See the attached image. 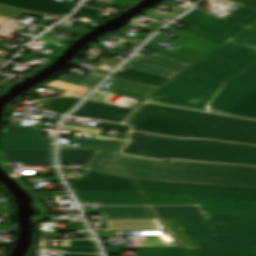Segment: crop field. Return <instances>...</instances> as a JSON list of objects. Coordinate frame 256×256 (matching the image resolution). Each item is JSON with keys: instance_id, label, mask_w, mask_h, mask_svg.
<instances>
[{"instance_id": "8a807250", "label": "crop field", "mask_w": 256, "mask_h": 256, "mask_svg": "<svg viewBox=\"0 0 256 256\" xmlns=\"http://www.w3.org/2000/svg\"><path fill=\"white\" fill-rule=\"evenodd\" d=\"M255 62V49L228 40L145 101L205 111L226 81ZM208 111L256 119V65L228 82Z\"/></svg>"}, {"instance_id": "ac0d7876", "label": "crop field", "mask_w": 256, "mask_h": 256, "mask_svg": "<svg viewBox=\"0 0 256 256\" xmlns=\"http://www.w3.org/2000/svg\"><path fill=\"white\" fill-rule=\"evenodd\" d=\"M72 143L78 148L60 146V150H97L86 171L152 181L256 188V168L117 154L127 142L73 139Z\"/></svg>"}, {"instance_id": "34b2d1b8", "label": "crop field", "mask_w": 256, "mask_h": 256, "mask_svg": "<svg viewBox=\"0 0 256 256\" xmlns=\"http://www.w3.org/2000/svg\"><path fill=\"white\" fill-rule=\"evenodd\" d=\"M134 130L182 138L183 135L256 145V122L200 112L143 105L128 120Z\"/></svg>"}, {"instance_id": "412701ff", "label": "crop field", "mask_w": 256, "mask_h": 256, "mask_svg": "<svg viewBox=\"0 0 256 256\" xmlns=\"http://www.w3.org/2000/svg\"><path fill=\"white\" fill-rule=\"evenodd\" d=\"M143 156L256 166V146L209 140H183L160 135H157Z\"/></svg>"}, {"instance_id": "f4fd0767", "label": "crop field", "mask_w": 256, "mask_h": 256, "mask_svg": "<svg viewBox=\"0 0 256 256\" xmlns=\"http://www.w3.org/2000/svg\"><path fill=\"white\" fill-rule=\"evenodd\" d=\"M142 192L191 194L203 212L256 215V190L136 181Z\"/></svg>"}, {"instance_id": "dd49c442", "label": "crop field", "mask_w": 256, "mask_h": 256, "mask_svg": "<svg viewBox=\"0 0 256 256\" xmlns=\"http://www.w3.org/2000/svg\"><path fill=\"white\" fill-rule=\"evenodd\" d=\"M159 218H177L200 248L256 251V238L213 236L197 207H153Z\"/></svg>"}, {"instance_id": "e52e79f7", "label": "crop field", "mask_w": 256, "mask_h": 256, "mask_svg": "<svg viewBox=\"0 0 256 256\" xmlns=\"http://www.w3.org/2000/svg\"><path fill=\"white\" fill-rule=\"evenodd\" d=\"M178 22L191 25L184 32L221 45L245 27L221 20L199 11H192Z\"/></svg>"}, {"instance_id": "d8731c3e", "label": "crop field", "mask_w": 256, "mask_h": 256, "mask_svg": "<svg viewBox=\"0 0 256 256\" xmlns=\"http://www.w3.org/2000/svg\"><path fill=\"white\" fill-rule=\"evenodd\" d=\"M190 65L154 52L150 55L140 53L123 67L171 79Z\"/></svg>"}, {"instance_id": "5a996713", "label": "crop field", "mask_w": 256, "mask_h": 256, "mask_svg": "<svg viewBox=\"0 0 256 256\" xmlns=\"http://www.w3.org/2000/svg\"><path fill=\"white\" fill-rule=\"evenodd\" d=\"M213 235L256 237V217L202 214Z\"/></svg>"}, {"instance_id": "3316defc", "label": "crop field", "mask_w": 256, "mask_h": 256, "mask_svg": "<svg viewBox=\"0 0 256 256\" xmlns=\"http://www.w3.org/2000/svg\"><path fill=\"white\" fill-rule=\"evenodd\" d=\"M44 122L36 129L6 126L1 149H51L53 138H40Z\"/></svg>"}, {"instance_id": "28ad6ade", "label": "crop field", "mask_w": 256, "mask_h": 256, "mask_svg": "<svg viewBox=\"0 0 256 256\" xmlns=\"http://www.w3.org/2000/svg\"><path fill=\"white\" fill-rule=\"evenodd\" d=\"M85 179L69 182L73 192L137 190L132 180L89 173Z\"/></svg>"}, {"instance_id": "d1516ede", "label": "crop field", "mask_w": 256, "mask_h": 256, "mask_svg": "<svg viewBox=\"0 0 256 256\" xmlns=\"http://www.w3.org/2000/svg\"><path fill=\"white\" fill-rule=\"evenodd\" d=\"M75 194L80 203L101 202L103 205H146L139 191L90 192Z\"/></svg>"}, {"instance_id": "22f410ed", "label": "crop field", "mask_w": 256, "mask_h": 256, "mask_svg": "<svg viewBox=\"0 0 256 256\" xmlns=\"http://www.w3.org/2000/svg\"><path fill=\"white\" fill-rule=\"evenodd\" d=\"M133 111L134 110L94 102H86V104L77 112L73 113L72 116L94 118L112 122H121Z\"/></svg>"}, {"instance_id": "cbeb9de0", "label": "crop field", "mask_w": 256, "mask_h": 256, "mask_svg": "<svg viewBox=\"0 0 256 256\" xmlns=\"http://www.w3.org/2000/svg\"><path fill=\"white\" fill-rule=\"evenodd\" d=\"M0 3L60 17L66 15L75 6L74 4L54 0H0Z\"/></svg>"}, {"instance_id": "5142ce71", "label": "crop field", "mask_w": 256, "mask_h": 256, "mask_svg": "<svg viewBox=\"0 0 256 256\" xmlns=\"http://www.w3.org/2000/svg\"><path fill=\"white\" fill-rule=\"evenodd\" d=\"M4 162H22V166L52 165L51 150H1Z\"/></svg>"}, {"instance_id": "d9b57169", "label": "crop field", "mask_w": 256, "mask_h": 256, "mask_svg": "<svg viewBox=\"0 0 256 256\" xmlns=\"http://www.w3.org/2000/svg\"><path fill=\"white\" fill-rule=\"evenodd\" d=\"M110 81L114 82L108 89L101 88L100 91L125 95L133 98H138L145 100L150 95H152L159 88L145 85L141 83H136L128 80H123L119 78L112 77Z\"/></svg>"}, {"instance_id": "733c2abd", "label": "crop field", "mask_w": 256, "mask_h": 256, "mask_svg": "<svg viewBox=\"0 0 256 256\" xmlns=\"http://www.w3.org/2000/svg\"><path fill=\"white\" fill-rule=\"evenodd\" d=\"M165 31L174 33L176 35L182 36L187 38L185 41L181 42L178 40H174L168 37H165L163 35L158 34L155 39H159L165 42H169L175 45H179L185 48H189L198 52H202V53H209L210 51H212L214 48H216L218 45L210 43L208 41L202 40L200 38L194 37L192 35L186 34L184 32H181L171 26H169L167 29H165Z\"/></svg>"}, {"instance_id": "4a817a6b", "label": "crop field", "mask_w": 256, "mask_h": 256, "mask_svg": "<svg viewBox=\"0 0 256 256\" xmlns=\"http://www.w3.org/2000/svg\"><path fill=\"white\" fill-rule=\"evenodd\" d=\"M86 214H133L135 218H154L148 207H83Z\"/></svg>"}, {"instance_id": "bc2a9ffb", "label": "crop field", "mask_w": 256, "mask_h": 256, "mask_svg": "<svg viewBox=\"0 0 256 256\" xmlns=\"http://www.w3.org/2000/svg\"><path fill=\"white\" fill-rule=\"evenodd\" d=\"M149 205H195L191 195L143 193Z\"/></svg>"}, {"instance_id": "214f88e0", "label": "crop field", "mask_w": 256, "mask_h": 256, "mask_svg": "<svg viewBox=\"0 0 256 256\" xmlns=\"http://www.w3.org/2000/svg\"><path fill=\"white\" fill-rule=\"evenodd\" d=\"M219 1L227 2L232 5L236 4L238 5V7H240L239 9L235 10L234 12L230 13L229 15L221 19H224L245 27H247L248 25H250L252 22L256 20V9L248 6H244L238 3H234L228 0H219Z\"/></svg>"}, {"instance_id": "92a150f3", "label": "crop field", "mask_w": 256, "mask_h": 256, "mask_svg": "<svg viewBox=\"0 0 256 256\" xmlns=\"http://www.w3.org/2000/svg\"><path fill=\"white\" fill-rule=\"evenodd\" d=\"M130 137L131 142L127 145L123 152L142 156L156 135L141 132H131Z\"/></svg>"}, {"instance_id": "dafd665d", "label": "crop field", "mask_w": 256, "mask_h": 256, "mask_svg": "<svg viewBox=\"0 0 256 256\" xmlns=\"http://www.w3.org/2000/svg\"><path fill=\"white\" fill-rule=\"evenodd\" d=\"M144 48L174 57L176 59L194 64L195 62H197L199 59H201L203 56H205V54L202 53H198L189 49H185L180 47L179 49H177L175 52L171 53L169 51L163 50L161 48L158 47V45L156 43L153 42H149L147 45L144 46Z\"/></svg>"}, {"instance_id": "00972430", "label": "crop field", "mask_w": 256, "mask_h": 256, "mask_svg": "<svg viewBox=\"0 0 256 256\" xmlns=\"http://www.w3.org/2000/svg\"><path fill=\"white\" fill-rule=\"evenodd\" d=\"M113 76L132 80V81H137L145 84H150L158 87H161L167 81H169L168 79L135 72L128 69L125 72L117 71Z\"/></svg>"}, {"instance_id": "a9b5d70f", "label": "crop field", "mask_w": 256, "mask_h": 256, "mask_svg": "<svg viewBox=\"0 0 256 256\" xmlns=\"http://www.w3.org/2000/svg\"><path fill=\"white\" fill-rule=\"evenodd\" d=\"M165 228L168 232H172L173 236L176 237L180 242L186 245L189 248H198L196 243L191 239V237L187 234L181 224L177 219H161Z\"/></svg>"}, {"instance_id": "4177f3b9", "label": "crop field", "mask_w": 256, "mask_h": 256, "mask_svg": "<svg viewBox=\"0 0 256 256\" xmlns=\"http://www.w3.org/2000/svg\"><path fill=\"white\" fill-rule=\"evenodd\" d=\"M124 250H138V256H186L183 247L174 248H124Z\"/></svg>"}, {"instance_id": "730fd06b", "label": "crop field", "mask_w": 256, "mask_h": 256, "mask_svg": "<svg viewBox=\"0 0 256 256\" xmlns=\"http://www.w3.org/2000/svg\"><path fill=\"white\" fill-rule=\"evenodd\" d=\"M96 151H60V163L63 166L65 162L88 164Z\"/></svg>"}, {"instance_id": "eef30255", "label": "crop field", "mask_w": 256, "mask_h": 256, "mask_svg": "<svg viewBox=\"0 0 256 256\" xmlns=\"http://www.w3.org/2000/svg\"><path fill=\"white\" fill-rule=\"evenodd\" d=\"M190 256H256V252L210 250V249H189Z\"/></svg>"}, {"instance_id": "ae1a2a85", "label": "crop field", "mask_w": 256, "mask_h": 256, "mask_svg": "<svg viewBox=\"0 0 256 256\" xmlns=\"http://www.w3.org/2000/svg\"><path fill=\"white\" fill-rule=\"evenodd\" d=\"M103 76L89 73L84 77L81 76H74V75H67L63 74L60 76L57 81L77 84L85 87L91 88L94 84H96Z\"/></svg>"}, {"instance_id": "d3111659", "label": "crop field", "mask_w": 256, "mask_h": 256, "mask_svg": "<svg viewBox=\"0 0 256 256\" xmlns=\"http://www.w3.org/2000/svg\"><path fill=\"white\" fill-rule=\"evenodd\" d=\"M78 98H56L44 101L42 107L48 108L57 113L63 114L78 102Z\"/></svg>"}, {"instance_id": "750c4746", "label": "crop field", "mask_w": 256, "mask_h": 256, "mask_svg": "<svg viewBox=\"0 0 256 256\" xmlns=\"http://www.w3.org/2000/svg\"><path fill=\"white\" fill-rule=\"evenodd\" d=\"M23 13L41 17V18L48 16V17L60 19V17L51 16V15H47V14H42V13H38V12H33V11H29V10L19 9V8L10 7V6L0 4V15H2V16L17 19Z\"/></svg>"}, {"instance_id": "bd1437ed", "label": "crop field", "mask_w": 256, "mask_h": 256, "mask_svg": "<svg viewBox=\"0 0 256 256\" xmlns=\"http://www.w3.org/2000/svg\"><path fill=\"white\" fill-rule=\"evenodd\" d=\"M230 40L236 41L238 43H241L256 49V30L247 27L246 30L242 31L241 33L234 36Z\"/></svg>"}, {"instance_id": "1d83c4d3", "label": "crop field", "mask_w": 256, "mask_h": 256, "mask_svg": "<svg viewBox=\"0 0 256 256\" xmlns=\"http://www.w3.org/2000/svg\"><path fill=\"white\" fill-rule=\"evenodd\" d=\"M49 86L67 90L65 95L77 96V97H82L89 90L88 88L67 84V83H62V82H57V81L50 83Z\"/></svg>"}, {"instance_id": "120bbe31", "label": "crop field", "mask_w": 256, "mask_h": 256, "mask_svg": "<svg viewBox=\"0 0 256 256\" xmlns=\"http://www.w3.org/2000/svg\"><path fill=\"white\" fill-rule=\"evenodd\" d=\"M101 12L100 10L91 9L87 7L81 6L79 10L76 12V16H83V17H91L96 18L97 14Z\"/></svg>"}, {"instance_id": "d32e631a", "label": "crop field", "mask_w": 256, "mask_h": 256, "mask_svg": "<svg viewBox=\"0 0 256 256\" xmlns=\"http://www.w3.org/2000/svg\"><path fill=\"white\" fill-rule=\"evenodd\" d=\"M71 124H74V123H71ZM77 125H80V124H77ZM83 126H86V125H83ZM90 127L113 129V130H122V131H128L131 128V127H126V126H121V125H116V124L103 123V122L96 123L95 126H90Z\"/></svg>"}, {"instance_id": "5866460e", "label": "crop field", "mask_w": 256, "mask_h": 256, "mask_svg": "<svg viewBox=\"0 0 256 256\" xmlns=\"http://www.w3.org/2000/svg\"><path fill=\"white\" fill-rule=\"evenodd\" d=\"M57 249L66 252H83V253H97L96 248H48Z\"/></svg>"}, {"instance_id": "028f5c9d", "label": "crop field", "mask_w": 256, "mask_h": 256, "mask_svg": "<svg viewBox=\"0 0 256 256\" xmlns=\"http://www.w3.org/2000/svg\"><path fill=\"white\" fill-rule=\"evenodd\" d=\"M57 29L65 31V32L70 33V34H74V35H77V34L83 32V31H85V30H82V29L74 27V26H72L70 28L61 26V27H59Z\"/></svg>"}, {"instance_id": "e1f06a70", "label": "crop field", "mask_w": 256, "mask_h": 256, "mask_svg": "<svg viewBox=\"0 0 256 256\" xmlns=\"http://www.w3.org/2000/svg\"><path fill=\"white\" fill-rule=\"evenodd\" d=\"M73 247H94L91 241H72Z\"/></svg>"}, {"instance_id": "0bd39190", "label": "crop field", "mask_w": 256, "mask_h": 256, "mask_svg": "<svg viewBox=\"0 0 256 256\" xmlns=\"http://www.w3.org/2000/svg\"><path fill=\"white\" fill-rule=\"evenodd\" d=\"M106 254H118L122 255L123 253V248H116V247H108L105 248Z\"/></svg>"}, {"instance_id": "b80d0937", "label": "crop field", "mask_w": 256, "mask_h": 256, "mask_svg": "<svg viewBox=\"0 0 256 256\" xmlns=\"http://www.w3.org/2000/svg\"><path fill=\"white\" fill-rule=\"evenodd\" d=\"M39 196L67 195L66 192H37Z\"/></svg>"}, {"instance_id": "c035e120", "label": "crop field", "mask_w": 256, "mask_h": 256, "mask_svg": "<svg viewBox=\"0 0 256 256\" xmlns=\"http://www.w3.org/2000/svg\"><path fill=\"white\" fill-rule=\"evenodd\" d=\"M231 1H235V2L242 3V4L256 8V0H231Z\"/></svg>"}, {"instance_id": "c21b1889", "label": "crop field", "mask_w": 256, "mask_h": 256, "mask_svg": "<svg viewBox=\"0 0 256 256\" xmlns=\"http://www.w3.org/2000/svg\"><path fill=\"white\" fill-rule=\"evenodd\" d=\"M106 219L133 218L132 215H104Z\"/></svg>"}, {"instance_id": "03da06ac", "label": "crop field", "mask_w": 256, "mask_h": 256, "mask_svg": "<svg viewBox=\"0 0 256 256\" xmlns=\"http://www.w3.org/2000/svg\"><path fill=\"white\" fill-rule=\"evenodd\" d=\"M84 5H88V6H92V7H96V8H100V9L105 8V6H103V5H100V4H97V3H93V2H89V1L84 3Z\"/></svg>"}, {"instance_id": "b54c1fbb", "label": "crop field", "mask_w": 256, "mask_h": 256, "mask_svg": "<svg viewBox=\"0 0 256 256\" xmlns=\"http://www.w3.org/2000/svg\"><path fill=\"white\" fill-rule=\"evenodd\" d=\"M66 256H97V255L67 254Z\"/></svg>"}, {"instance_id": "5d738f31", "label": "crop field", "mask_w": 256, "mask_h": 256, "mask_svg": "<svg viewBox=\"0 0 256 256\" xmlns=\"http://www.w3.org/2000/svg\"><path fill=\"white\" fill-rule=\"evenodd\" d=\"M0 208H11L10 204H0Z\"/></svg>"}, {"instance_id": "d23c7cc5", "label": "crop field", "mask_w": 256, "mask_h": 256, "mask_svg": "<svg viewBox=\"0 0 256 256\" xmlns=\"http://www.w3.org/2000/svg\"><path fill=\"white\" fill-rule=\"evenodd\" d=\"M8 19L0 18V26L5 23Z\"/></svg>"}, {"instance_id": "425ffa30", "label": "crop field", "mask_w": 256, "mask_h": 256, "mask_svg": "<svg viewBox=\"0 0 256 256\" xmlns=\"http://www.w3.org/2000/svg\"><path fill=\"white\" fill-rule=\"evenodd\" d=\"M249 27L255 28L256 29V21L252 23Z\"/></svg>"}, {"instance_id": "25e5ab78", "label": "crop field", "mask_w": 256, "mask_h": 256, "mask_svg": "<svg viewBox=\"0 0 256 256\" xmlns=\"http://www.w3.org/2000/svg\"><path fill=\"white\" fill-rule=\"evenodd\" d=\"M7 60L1 59L0 58V65H2L3 63H5Z\"/></svg>"}, {"instance_id": "73cf0c24", "label": "crop field", "mask_w": 256, "mask_h": 256, "mask_svg": "<svg viewBox=\"0 0 256 256\" xmlns=\"http://www.w3.org/2000/svg\"><path fill=\"white\" fill-rule=\"evenodd\" d=\"M135 241H136L137 247H141V246H139V244H140L139 240H135Z\"/></svg>"}, {"instance_id": "89e229c0", "label": "crop field", "mask_w": 256, "mask_h": 256, "mask_svg": "<svg viewBox=\"0 0 256 256\" xmlns=\"http://www.w3.org/2000/svg\"><path fill=\"white\" fill-rule=\"evenodd\" d=\"M2 39H0V41H1ZM4 41H6V40H4ZM8 42H10V41H8ZM12 43H14V42H12ZM16 44H18V43H16ZM20 45H22V44H20Z\"/></svg>"}]
</instances>
